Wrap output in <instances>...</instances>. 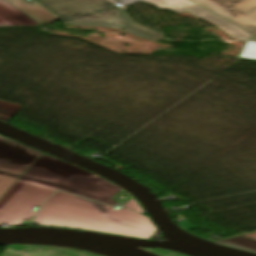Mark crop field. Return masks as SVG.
Instances as JSON below:
<instances>
[{
    "mask_svg": "<svg viewBox=\"0 0 256 256\" xmlns=\"http://www.w3.org/2000/svg\"><path fill=\"white\" fill-rule=\"evenodd\" d=\"M57 190L116 205L110 198L120 189L82 168L42 154L0 199V223L18 226L22 219L34 217V206Z\"/></svg>",
    "mask_w": 256,
    "mask_h": 256,
    "instance_id": "8a807250",
    "label": "crop field"
},
{
    "mask_svg": "<svg viewBox=\"0 0 256 256\" xmlns=\"http://www.w3.org/2000/svg\"><path fill=\"white\" fill-rule=\"evenodd\" d=\"M62 21L87 26L122 28L125 31L146 39H155V35L135 27L123 6L147 1L159 8L174 11H188L198 18L226 32L233 40H249L252 35L201 9L187 0H34ZM142 27V26H139ZM144 28V27H142ZM147 29V28H145ZM149 30V29H148ZM152 31V30H150ZM154 32V31H153ZM157 33V32H156Z\"/></svg>",
    "mask_w": 256,
    "mask_h": 256,
    "instance_id": "ac0d7876",
    "label": "crop field"
},
{
    "mask_svg": "<svg viewBox=\"0 0 256 256\" xmlns=\"http://www.w3.org/2000/svg\"><path fill=\"white\" fill-rule=\"evenodd\" d=\"M96 203L65 192L52 195L33 222L43 226H61L95 230L150 239L158 230L150 219L123 207Z\"/></svg>",
    "mask_w": 256,
    "mask_h": 256,
    "instance_id": "34b2d1b8",
    "label": "crop field"
},
{
    "mask_svg": "<svg viewBox=\"0 0 256 256\" xmlns=\"http://www.w3.org/2000/svg\"><path fill=\"white\" fill-rule=\"evenodd\" d=\"M40 153L9 138L0 142V198Z\"/></svg>",
    "mask_w": 256,
    "mask_h": 256,
    "instance_id": "412701ff",
    "label": "crop field"
},
{
    "mask_svg": "<svg viewBox=\"0 0 256 256\" xmlns=\"http://www.w3.org/2000/svg\"><path fill=\"white\" fill-rule=\"evenodd\" d=\"M242 30L256 34V0H189Z\"/></svg>",
    "mask_w": 256,
    "mask_h": 256,
    "instance_id": "f4fd0767",
    "label": "crop field"
},
{
    "mask_svg": "<svg viewBox=\"0 0 256 256\" xmlns=\"http://www.w3.org/2000/svg\"><path fill=\"white\" fill-rule=\"evenodd\" d=\"M40 25L5 0H0L1 26H33Z\"/></svg>",
    "mask_w": 256,
    "mask_h": 256,
    "instance_id": "dd49c442",
    "label": "crop field"
},
{
    "mask_svg": "<svg viewBox=\"0 0 256 256\" xmlns=\"http://www.w3.org/2000/svg\"><path fill=\"white\" fill-rule=\"evenodd\" d=\"M13 4L15 7L20 9L22 12L36 20L42 25L48 24L50 22L58 21L56 17L47 12L45 9L40 7L34 1L30 0H6Z\"/></svg>",
    "mask_w": 256,
    "mask_h": 256,
    "instance_id": "e52e79f7",
    "label": "crop field"
},
{
    "mask_svg": "<svg viewBox=\"0 0 256 256\" xmlns=\"http://www.w3.org/2000/svg\"><path fill=\"white\" fill-rule=\"evenodd\" d=\"M214 243L256 253V240L242 237V236H238V237H234V238H230V239H226V240H222Z\"/></svg>",
    "mask_w": 256,
    "mask_h": 256,
    "instance_id": "d8731c3e",
    "label": "crop field"
},
{
    "mask_svg": "<svg viewBox=\"0 0 256 256\" xmlns=\"http://www.w3.org/2000/svg\"><path fill=\"white\" fill-rule=\"evenodd\" d=\"M240 57L242 59L256 60V43L247 42Z\"/></svg>",
    "mask_w": 256,
    "mask_h": 256,
    "instance_id": "5a996713",
    "label": "crop field"
},
{
    "mask_svg": "<svg viewBox=\"0 0 256 256\" xmlns=\"http://www.w3.org/2000/svg\"><path fill=\"white\" fill-rule=\"evenodd\" d=\"M19 108H20L19 106L0 102V114L1 115L12 117Z\"/></svg>",
    "mask_w": 256,
    "mask_h": 256,
    "instance_id": "3316defc",
    "label": "crop field"
},
{
    "mask_svg": "<svg viewBox=\"0 0 256 256\" xmlns=\"http://www.w3.org/2000/svg\"><path fill=\"white\" fill-rule=\"evenodd\" d=\"M123 206H125L131 210H134L140 214L143 213V209L141 208V206L137 203V201L134 198L131 199L130 201H128L127 203H125Z\"/></svg>",
    "mask_w": 256,
    "mask_h": 256,
    "instance_id": "28ad6ade",
    "label": "crop field"
},
{
    "mask_svg": "<svg viewBox=\"0 0 256 256\" xmlns=\"http://www.w3.org/2000/svg\"><path fill=\"white\" fill-rule=\"evenodd\" d=\"M0 120L5 122V123H7L10 120V118L4 117V116H0Z\"/></svg>",
    "mask_w": 256,
    "mask_h": 256,
    "instance_id": "d1516ede",
    "label": "crop field"
},
{
    "mask_svg": "<svg viewBox=\"0 0 256 256\" xmlns=\"http://www.w3.org/2000/svg\"><path fill=\"white\" fill-rule=\"evenodd\" d=\"M152 33H153V32H152ZM154 34H156V33H154ZM156 36H157V39H164V38H162L161 35H159V34H156ZM157 39H156V40H157Z\"/></svg>",
    "mask_w": 256,
    "mask_h": 256,
    "instance_id": "22f410ed",
    "label": "crop field"
},
{
    "mask_svg": "<svg viewBox=\"0 0 256 256\" xmlns=\"http://www.w3.org/2000/svg\"><path fill=\"white\" fill-rule=\"evenodd\" d=\"M250 40H251V41H256V35L253 36Z\"/></svg>",
    "mask_w": 256,
    "mask_h": 256,
    "instance_id": "cbeb9de0",
    "label": "crop field"
},
{
    "mask_svg": "<svg viewBox=\"0 0 256 256\" xmlns=\"http://www.w3.org/2000/svg\"><path fill=\"white\" fill-rule=\"evenodd\" d=\"M3 139V137L0 136V141Z\"/></svg>",
    "mask_w": 256,
    "mask_h": 256,
    "instance_id": "5142ce71",
    "label": "crop field"
}]
</instances>
